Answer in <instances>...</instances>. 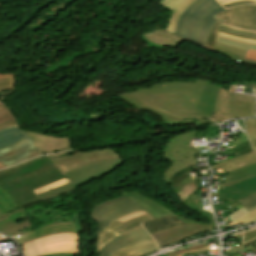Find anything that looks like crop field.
<instances>
[{
	"instance_id": "50",
	"label": "crop field",
	"mask_w": 256,
	"mask_h": 256,
	"mask_svg": "<svg viewBox=\"0 0 256 256\" xmlns=\"http://www.w3.org/2000/svg\"><path fill=\"white\" fill-rule=\"evenodd\" d=\"M246 58L249 59H255L256 60V51L254 50H248Z\"/></svg>"
},
{
	"instance_id": "11",
	"label": "crop field",
	"mask_w": 256,
	"mask_h": 256,
	"mask_svg": "<svg viewBox=\"0 0 256 256\" xmlns=\"http://www.w3.org/2000/svg\"><path fill=\"white\" fill-rule=\"evenodd\" d=\"M216 17L225 20L224 25L256 32V5L227 9Z\"/></svg>"
},
{
	"instance_id": "46",
	"label": "crop field",
	"mask_w": 256,
	"mask_h": 256,
	"mask_svg": "<svg viewBox=\"0 0 256 256\" xmlns=\"http://www.w3.org/2000/svg\"><path fill=\"white\" fill-rule=\"evenodd\" d=\"M156 249H159V247L156 246V247H153V248H149V249H145V250H141V251H136V252H134V253H132V254H130L128 256H141L143 254H146L148 252L154 251Z\"/></svg>"
},
{
	"instance_id": "39",
	"label": "crop field",
	"mask_w": 256,
	"mask_h": 256,
	"mask_svg": "<svg viewBox=\"0 0 256 256\" xmlns=\"http://www.w3.org/2000/svg\"><path fill=\"white\" fill-rule=\"evenodd\" d=\"M66 183H69V181L65 178V179H63V180L57 181V182L52 183V184H49V185H47V186L40 187V188L34 190L33 192H34L35 194H37V193H40V192H43V191L50 190V189H52V188H54V187H57V186L66 184Z\"/></svg>"
},
{
	"instance_id": "55",
	"label": "crop field",
	"mask_w": 256,
	"mask_h": 256,
	"mask_svg": "<svg viewBox=\"0 0 256 256\" xmlns=\"http://www.w3.org/2000/svg\"><path fill=\"white\" fill-rule=\"evenodd\" d=\"M220 31H221V30H220ZM221 32H224V33H227V34H230V35H234V36H238V37H243V38H249V39H255V40H256V38H250V37L240 36V35L228 33V32H225V31H221Z\"/></svg>"
},
{
	"instance_id": "6",
	"label": "crop field",
	"mask_w": 256,
	"mask_h": 256,
	"mask_svg": "<svg viewBox=\"0 0 256 256\" xmlns=\"http://www.w3.org/2000/svg\"><path fill=\"white\" fill-rule=\"evenodd\" d=\"M236 86L229 89L220 88L214 108L213 120L221 123L228 118H239L256 115L255 97L233 94Z\"/></svg>"
},
{
	"instance_id": "14",
	"label": "crop field",
	"mask_w": 256,
	"mask_h": 256,
	"mask_svg": "<svg viewBox=\"0 0 256 256\" xmlns=\"http://www.w3.org/2000/svg\"><path fill=\"white\" fill-rule=\"evenodd\" d=\"M256 193V177L225 187L220 184L218 187L219 200L227 199L229 203L212 205L217 211L229 204Z\"/></svg>"
},
{
	"instance_id": "36",
	"label": "crop field",
	"mask_w": 256,
	"mask_h": 256,
	"mask_svg": "<svg viewBox=\"0 0 256 256\" xmlns=\"http://www.w3.org/2000/svg\"><path fill=\"white\" fill-rule=\"evenodd\" d=\"M208 250L206 244H201L189 249H184L175 253H170V254H166V256H180V255H185V254H189V253H196V252H201V251H205Z\"/></svg>"
},
{
	"instance_id": "70",
	"label": "crop field",
	"mask_w": 256,
	"mask_h": 256,
	"mask_svg": "<svg viewBox=\"0 0 256 256\" xmlns=\"http://www.w3.org/2000/svg\"><path fill=\"white\" fill-rule=\"evenodd\" d=\"M256 85V84H255Z\"/></svg>"
},
{
	"instance_id": "12",
	"label": "crop field",
	"mask_w": 256,
	"mask_h": 256,
	"mask_svg": "<svg viewBox=\"0 0 256 256\" xmlns=\"http://www.w3.org/2000/svg\"><path fill=\"white\" fill-rule=\"evenodd\" d=\"M212 226H200L194 224H186L172 227L151 234L160 247L167 246L171 243L178 242L184 238L196 236L210 231Z\"/></svg>"
},
{
	"instance_id": "69",
	"label": "crop field",
	"mask_w": 256,
	"mask_h": 256,
	"mask_svg": "<svg viewBox=\"0 0 256 256\" xmlns=\"http://www.w3.org/2000/svg\"><path fill=\"white\" fill-rule=\"evenodd\" d=\"M256 83V82H255Z\"/></svg>"
},
{
	"instance_id": "59",
	"label": "crop field",
	"mask_w": 256,
	"mask_h": 256,
	"mask_svg": "<svg viewBox=\"0 0 256 256\" xmlns=\"http://www.w3.org/2000/svg\"><path fill=\"white\" fill-rule=\"evenodd\" d=\"M250 142L252 144L253 149H255L256 148V139L255 140H251Z\"/></svg>"
},
{
	"instance_id": "3",
	"label": "crop field",
	"mask_w": 256,
	"mask_h": 256,
	"mask_svg": "<svg viewBox=\"0 0 256 256\" xmlns=\"http://www.w3.org/2000/svg\"><path fill=\"white\" fill-rule=\"evenodd\" d=\"M223 10L215 0H196L180 18L175 34L206 47L208 32L217 21L214 15Z\"/></svg>"
},
{
	"instance_id": "16",
	"label": "crop field",
	"mask_w": 256,
	"mask_h": 256,
	"mask_svg": "<svg viewBox=\"0 0 256 256\" xmlns=\"http://www.w3.org/2000/svg\"><path fill=\"white\" fill-rule=\"evenodd\" d=\"M147 239H151V236L146 233V231L140 227L133 231L122 234L111 241L107 242V244L102 247L98 256H111L117 250L126 247L130 244L141 242Z\"/></svg>"
},
{
	"instance_id": "62",
	"label": "crop field",
	"mask_w": 256,
	"mask_h": 256,
	"mask_svg": "<svg viewBox=\"0 0 256 256\" xmlns=\"http://www.w3.org/2000/svg\"><path fill=\"white\" fill-rule=\"evenodd\" d=\"M255 210H256V207L253 208V209H251V210H248V213H251V212H253V211H255Z\"/></svg>"
},
{
	"instance_id": "52",
	"label": "crop field",
	"mask_w": 256,
	"mask_h": 256,
	"mask_svg": "<svg viewBox=\"0 0 256 256\" xmlns=\"http://www.w3.org/2000/svg\"><path fill=\"white\" fill-rule=\"evenodd\" d=\"M45 256H74V254L71 253H55V254H49Z\"/></svg>"
},
{
	"instance_id": "4",
	"label": "crop field",
	"mask_w": 256,
	"mask_h": 256,
	"mask_svg": "<svg viewBox=\"0 0 256 256\" xmlns=\"http://www.w3.org/2000/svg\"><path fill=\"white\" fill-rule=\"evenodd\" d=\"M191 138H195L194 130L176 135L168 141L162 156L172 164L164 170L163 182L167 183L176 171L198 163L195 154H199V149L190 145Z\"/></svg>"
},
{
	"instance_id": "13",
	"label": "crop field",
	"mask_w": 256,
	"mask_h": 256,
	"mask_svg": "<svg viewBox=\"0 0 256 256\" xmlns=\"http://www.w3.org/2000/svg\"><path fill=\"white\" fill-rule=\"evenodd\" d=\"M42 153L43 152L35 145L32 139L29 138L0 150V161L5 164V167H9Z\"/></svg>"
},
{
	"instance_id": "53",
	"label": "crop field",
	"mask_w": 256,
	"mask_h": 256,
	"mask_svg": "<svg viewBox=\"0 0 256 256\" xmlns=\"http://www.w3.org/2000/svg\"><path fill=\"white\" fill-rule=\"evenodd\" d=\"M10 76H14V74H12V73H1L0 74V78L10 77Z\"/></svg>"
},
{
	"instance_id": "63",
	"label": "crop field",
	"mask_w": 256,
	"mask_h": 256,
	"mask_svg": "<svg viewBox=\"0 0 256 256\" xmlns=\"http://www.w3.org/2000/svg\"><path fill=\"white\" fill-rule=\"evenodd\" d=\"M0 168H4V166H3L2 162H0Z\"/></svg>"
},
{
	"instance_id": "23",
	"label": "crop field",
	"mask_w": 256,
	"mask_h": 256,
	"mask_svg": "<svg viewBox=\"0 0 256 256\" xmlns=\"http://www.w3.org/2000/svg\"><path fill=\"white\" fill-rule=\"evenodd\" d=\"M144 37L152 43L172 47L184 40L183 38L175 36L163 29L154 30L145 34Z\"/></svg>"
},
{
	"instance_id": "37",
	"label": "crop field",
	"mask_w": 256,
	"mask_h": 256,
	"mask_svg": "<svg viewBox=\"0 0 256 256\" xmlns=\"http://www.w3.org/2000/svg\"><path fill=\"white\" fill-rule=\"evenodd\" d=\"M255 119L256 118L246 119L245 120L247 134H248L250 140L256 138V123H255Z\"/></svg>"
},
{
	"instance_id": "66",
	"label": "crop field",
	"mask_w": 256,
	"mask_h": 256,
	"mask_svg": "<svg viewBox=\"0 0 256 256\" xmlns=\"http://www.w3.org/2000/svg\"><path fill=\"white\" fill-rule=\"evenodd\" d=\"M1 216V215H0Z\"/></svg>"
},
{
	"instance_id": "29",
	"label": "crop field",
	"mask_w": 256,
	"mask_h": 256,
	"mask_svg": "<svg viewBox=\"0 0 256 256\" xmlns=\"http://www.w3.org/2000/svg\"><path fill=\"white\" fill-rule=\"evenodd\" d=\"M17 124L10 111L0 103V130Z\"/></svg>"
},
{
	"instance_id": "67",
	"label": "crop field",
	"mask_w": 256,
	"mask_h": 256,
	"mask_svg": "<svg viewBox=\"0 0 256 256\" xmlns=\"http://www.w3.org/2000/svg\"><path fill=\"white\" fill-rule=\"evenodd\" d=\"M165 256V255H164Z\"/></svg>"
},
{
	"instance_id": "8",
	"label": "crop field",
	"mask_w": 256,
	"mask_h": 256,
	"mask_svg": "<svg viewBox=\"0 0 256 256\" xmlns=\"http://www.w3.org/2000/svg\"><path fill=\"white\" fill-rule=\"evenodd\" d=\"M138 211L142 210L121 195L95 205L91 211V218L97 222V236L114 220Z\"/></svg>"
},
{
	"instance_id": "27",
	"label": "crop field",
	"mask_w": 256,
	"mask_h": 256,
	"mask_svg": "<svg viewBox=\"0 0 256 256\" xmlns=\"http://www.w3.org/2000/svg\"><path fill=\"white\" fill-rule=\"evenodd\" d=\"M228 174L233 179L224 182L226 186L236 183V182H239V181H242V180H245V179H248V178H251V177H254V176H256V163L246 166L244 168L229 172Z\"/></svg>"
},
{
	"instance_id": "9",
	"label": "crop field",
	"mask_w": 256,
	"mask_h": 256,
	"mask_svg": "<svg viewBox=\"0 0 256 256\" xmlns=\"http://www.w3.org/2000/svg\"><path fill=\"white\" fill-rule=\"evenodd\" d=\"M63 154H66L67 156L52 159L54 164L60 169L62 173L99 159L119 158L116 152L112 149H103L89 152L71 150L58 154L48 155V157L51 158Z\"/></svg>"
},
{
	"instance_id": "20",
	"label": "crop field",
	"mask_w": 256,
	"mask_h": 256,
	"mask_svg": "<svg viewBox=\"0 0 256 256\" xmlns=\"http://www.w3.org/2000/svg\"><path fill=\"white\" fill-rule=\"evenodd\" d=\"M193 1L194 0H161L160 6L171 13L165 27L166 30L174 33L179 18Z\"/></svg>"
},
{
	"instance_id": "33",
	"label": "crop field",
	"mask_w": 256,
	"mask_h": 256,
	"mask_svg": "<svg viewBox=\"0 0 256 256\" xmlns=\"http://www.w3.org/2000/svg\"><path fill=\"white\" fill-rule=\"evenodd\" d=\"M58 206H60V205H58L57 203H55V204H54V207L49 208L47 211H43L42 214H39V215H37V216L33 215V213H34L35 210H37V209L32 210V212H31V211H30V208H28V209H27V212H28L29 216H33V217H35V218H43V217L46 216V215H51L52 213H54V215H56V216L59 218V219H57V220H64V219H66V218H61L60 216H61L62 214L66 215V214L69 213V212H65V211H62V210H54V209H53V208L58 207ZM40 208H41V207H40Z\"/></svg>"
},
{
	"instance_id": "31",
	"label": "crop field",
	"mask_w": 256,
	"mask_h": 256,
	"mask_svg": "<svg viewBox=\"0 0 256 256\" xmlns=\"http://www.w3.org/2000/svg\"><path fill=\"white\" fill-rule=\"evenodd\" d=\"M17 207L10 198L9 194L0 188V213L3 215L12 208Z\"/></svg>"
},
{
	"instance_id": "41",
	"label": "crop field",
	"mask_w": 256,
	"mask_h": 256,
	"mask_svg": "<svg viewBox=\"0 0 256 256\" xmlns=\"http://www.w3.org/2000/svg\"><path fill=\"white\" fill-rule=\"evenodd\" d=\"M251 221H256V212H253L251 214H248L244 217H242L241 219L225 226V227H229V226H234V225H239V224H243V223H246V222H251ZM224 228V227H223Z\"/></svg>"
},
{
	"instance_id": "26",
	"label": "crop field",
	"mask_w": 256,
	"mask_h": 256,
	"mask_svg": "<svg viewBox=\"0 0 256 256\" xmlns=\"http://www.w3.org/2000/svg\"><path fill=\"white\" fill-rule=\"evenodd\" d=\"M222 23H223V20L218 19V21L212 27V29L208 35V39H207V48L208 49L215 51L214 40H215V36L219 29L237 33V34H241V35H245V36L256 37V33H254V32H247V31H243V30H239V29L229 28V27L222 25Z\"/></svg>"
},
{
	"instance_id": "5",
	"label": "crop field",
	"mask_w": 256,
	"mask_h": 256,
	"mask_svg": "<svg viewBox=\"0 0 256 256\" xmlns=\"http://www.w3.org/2000/svg\"><path fill=\"white\" fill-rule=\"evenodd\" d=\"M123 161L124 159H121V158L110 159V160H99V161L81 166L69 172H66L64 173V175L67 177V179L71 183L57 187L53 190H50L44 193L37 194V197L39 198V200L48 199V198L60 195L64 192L73 190L94 178H98L100 176H103L111 172L113 169H115L117 166L123 163Z\"/></svg>"
},
{
	"instance_id": "57",
	"label": "crop field",
	"mask_w": 256,
	"mask_h": 256,
	"mask_svg": "<svg viewBox=\"0 0 256 256\" xmlns=\"http://www.w3.org/2000/svg\"><path fill=\"white\" fill-rule=\"evenodd\" d=\"M9 240H10V239H8V238H6V237L0 235V242H2V241H9Z\"/></svg>"
},
{
	"instance_id": "21",
	"label": "crop field",
	"mask_w": 256,
	"mask_h": 256,
	"mask_svg": "<svg viewBox=\"0 0 256 256\" xmlns=\"http://www.w3.org/2000/svg\"><path fill=\"white\" fill-rule=\"evenodd\" d=\"M34 140L37 146L44 152L49 153L70 145V138L54 137L50 135L37 134L24 131Z\"/></svg>"
},
{
	"instance_id": "42",
	"label": "crop field",
	"mask_w": 256,
	"mask_h": 256,
	"mask_svg": "<svg viewBox=\"0 0 256 256\" xmlns=\"http://www.w3.org/2000/svg\"><path fill=\"white\" fill-rule=\"evenodd\" d=\"M215 47L221 48V49H224V50H227L229 52H232V53H235V54H239V55H242V56L245 53V50H241V49H238V48L230 47V46L223 45V44L216 43V42H215Z\"/></svg>"
},
{
	"instance_id": "48",
	"label": "crop field",
	"mask_w": 256,
	"mask_h": 256,
	"mask_svg": "<svg viewBox=\"0 0 256 256\" xmlns=\"http://www.w3.org/2000/svg\"><path fill=\"white\" fill-rule=\"evenodd\" d=\"M73 216H74V221L76 223V229L78 230V233H80V234L83 233L80 219H79V213H75V214H73Z\"/></svg>"
},
{
	"instance_id": "18",
	"label": "crop field",
	"mask_w": 256,
	"mask_h": 256,
	"mask_svg": "<svg viewBox=\"0 0 256 256\" xmlns=\"http://www.w3.org/2000/svg\"><path fill=\"white\" fill-rule=\"evenodd\" d=\"M122 196L126 197L127 199L135 202L151 215L156 218L170 216V215H178L172 210L168 209L167 207L151 200L149 197L140 194L136 191H131L129 193L122 194Z\"/></svg>"
},
{
	"instance_id": "61",
	"label": "crop field",
	"mask_w": 256,
	"mask_h": 256,
	"mask_svg": "<svg viewBox=\"0 0 256 256\" xmlns=\"http://www.w3.org/2000/svg\"><path fill=\"white\" fill-rule=\"evenodd\" d=\"M230 256H241V254H240L239 251H238V252H236V253H234V254H232V255H230Z\"/></svg>"
},
{
	"instance_id": "17",
	"label": "crop field",
	"mask_w": 256,
	"mask_h": 256,
	"mask_svg": "<svg viewBox=\"0 0 256 256\" xmlns=\"http://www.w3.org/2000/svg\"><path fill=\"white\" fill-rule=\"evenodd\" d=\"M55 233H77L75 229V223H55L47 226L40 227L34 231L22 234L20 236L14 237L13 239L19 244H24L26 242L35 240L37 238L55 234Z\"/></svg>"
},
{
	"instance_id": "2",
	"label": "crop field",
	"mask_w": 256,
	"mask_h": 256,
	"mask_svg": "<svg viewBox=\"0 0 256 256\" xmlns=\"http://www.w3.org/2000/svg\"><path fill=\"white\" fill-rule=\"evenodd\" d=\"M63 178L65 176L43 155L0 171V187L21 206L38 201L32 190Z\"/></svg>"
},
{
	"instance_id": "47",
	"label": "crop field",
	"mask_w": 256,
	"mask_h": 256,
	"mask_svg": "<svg viewBox=\"0 0 256 256\" xmlns=\"http://www.w3.org/2000/svg\"><path fill=\"white\" fill-rule=\"evenodd\" d=\"M249 3H256L255 0H246V1H239V2H233L227 5H223L224 8H230L236 5H241V4H249Z\"/></svg>"
},
{
	"instance_id": "30",
	"label": "crop field",
	"mask_w": 256,
	"mask_h": 256,
	"mask_svg": "<svg viewBox=\"0 0 256 256\" xmlns=\"http://www.w3.org/2000/svg\"><path fill=\"white\" fill-rule=\"evenodd\" d=\"M168 126H178V125H205L208 124L209 122H204V119H195V120H189V119H178V118H171V117H166V119L163 121Z\"/></svg>"
},
{
	"instance_id": "15",
	"label": "crop field",
	"mask_w": 256,
	"mask_h": 256,
	"mask_svg": "<svg viewBox=\"0 0 256 256\" xmlns=\"http://www.w3.org/2000/svg\"><path fill=\"white\" fill-rule=\"evenodd\" d=\"M31 225L33 224L24 206L17 207L0 217V231L11 237L15 236L19 230H23Z\"/></svg>"
},
{
	"instance_id": "64",
	"label": "crop field",
	"mask_w": 256,
	"mask_h": 256,
	"mask_svg": "<svg viewBox=\"0 0 256 256\" xmlns=\"http://www.w3.org/2000/svg\"><path fill=\"white\" fill-rule=\"evenodd\" d=\"M249 49H256V47H249Z\"/></svg>"
},
{
	"instance_id": "7",
	"label": "crop field",
	"mask_w": 256,
	"mask_h": 256,
	"mask_svg": "<svg viewBox=\"0 0 256 256\" xmlns=\"http://www.w3.org/2000/svg\"><path fill=\"white\" fill-rule=\"evenodd\" d=\"M25 256H42L54 252H71L80 255L78 234H56L20 246Z\"/></svg>"
},
{
	"instance_id": "43",
	"label": "crop field",
	"mask_w": 256,
	"mask_h": 256,
	"mask_svg": "<svg viewBox=\"0 0 256 256\" xmlns=\"http://www.w3.org/2000/svg\"><path fill=\"white\" fill-rule=\"evenodd\" d=\"M14 85V78L0 79V91L10 89Z\"/></svg>"
},
{
	"instance_id": "45",
	"label": "crop field",
	"mask_w": 256,
	"mask_h": 256,
	"mask_svg": "<svg viewBox=\"0 0 256 256\" xmlns=\"http://www.w3.org/2000/svg\"><path fill=\"white\" fill-rule=\"evenodd\" d=\"M215 49H216L217 52H220V53H222V54H225V55L231 57V58L234 59L236 62H241V60H242V58H243L242 56L235 55V54L226 52V51L221 50V49H217V48H215Z\"/></svg>"
},
{
	"instance_id": "40",
	"label": "crop field",
	"mask_w": 256,
	"mask_h": 256,
	"mask_svg": "<svg viewBox=\"0 0 256 256\" xmlns=\"http://www.w3.org/2000/svg\"><path fill=\"white\" fill-rule=\"evenodd\" d=\"M239 202L246 208V210L251 209L256 206V194L244 198Z\"/></svg>"
},
{
	"instance_id": "65",
	"label": "crop field",
	"mask_w": 256,
	"mask_h": 256,
	"mask_svg": "<svg viewBox=\"0 0 256 256\" xmlns=\"http://www.w3.org/2000/svg\"><path fill=\"white\" fill-rule=\"evenodd\" d=\"M254 151H255V153H256V149H255Z\"/></svg>"
},
{
	"instance_id": "32",
	"label": "crop field",
	"mask_w": 256,
	"mask_h": 256,
	"mask_svg": "<svg viewBox=\"0 0 256 256\" xmlns=\"http://www.w3.org/2000/svg\"><path fill=\"white\" fill-rule=\"evenodd\" d=\"M215 41L223 43V44L231 45V46H234V47H238V48H241V49H245V50H247L249 46H256L255 43L237 41V40H233V39L226 38V37L219 36V35L216 36Z\"/></svg>"
},
{
	"instance_id": "38",
	"label": "crop field",
	"mask_w": 256,
	"mask_h": 256,
	"mask_svg": "<svg viewBox=\"0 0 256 256\" xmlns=\"http://www.w3.org/2000/svg\"><path fill=\"white\" fill-rule=\"evenodd\" d=\"M187 208L201 214L203 217H205L207 220L211 217L212 213L210 214L209 212L205 211V210H200L199 208V204L197 199L195 201H193L190 205L187 206Z\"/></svg>"
},
{
	"instance_id": "22",
	"label": "crop field",
	"mask_w": 256,
	"mask_h": 256,
	"mask_svg": "<svg viewBox=\"0 0 256 256\" xmlns=\"http://www.w3.org/2000/svg\"><path fill=\"white\" fill-rule=\"evenodd\" d=\"M186 223H195V224L204 225V223L202 222H197L181 216H170V217L160 218V219L152 220L150 222L143 223L142 225L146 228L149 234H151L165 228H169V227L180 225V224H186Z\"/></svg>"
},
{
	"instance_id": "51",
	"label": "crop field",
	"mask_w": 256,
	"mask_h": 256,
	"mask_svg": "<svg viewBox=\"0 0 256 256\" xmlns=\"http://www.w3.org/2000/svg\"><path fill=\"white\" fill-rule=\"evenodd\" d=\"M218 34H219V35H223V36H227V37H230V38H233V39H237V40H243V41L256 42L255 40H249V39L237 38V37H233V36H230V35H227V34H224V33H220V32H218Z\"/></svg>"
},
{
	"instance_id": "58",
	"label": "crop field",
	"mask_w": 256,
	"mask_h": 256,
	"mask_svg": "<svg viewBox=\"0 0 256 256\" xmlns=\"http://www.w3.org/2000/svg\"><path fill=\"white\" fill-rule=\"evenodd\" d=\"M70 149H72V147H71V146L66 147V148H63V149H60V150H57V151H55V152L65 151V150H70ZM52 153H53V152H52Z\"/></svg>"
},
{
	"instance_id": "54",
	"label": "crop field",
	"mask_w": 256,
	"mask_h": 256,
	"mask_svg": "<svg viewBox=\"0 0 256 256\" xmlns=\"http://www.w3.org/2000/svg\"><path fill=\"white\" fill-rule=\"evenodd\" d=\"M233 1H238V0H219L221 5L227 4V3H230V2H233Z\"/></svg>"
},
{
	"instance_id": "10",
	"label": "crop field",
	"mask_w": 256,
	"mask_h": 256,
	"mask_svg": "<svg viewBox=\"0 0 256 256\" xmlns=\"http://www.w3.org/2000/svg\"><path fill=\"white\" fill-rule=\"evenodd\" d=\"M153 219L146 212H138L125 217H122L116 221H114L109 227H107L98 237L97 242L95 244V251L99 252L101 247L105 245V243L114 238L115 236L122 234L124 232L130 231L132 229L138 228L141 226V222L146 220ZM122 230V232H120Z\"/></svg>"
},
{
	"instance_id": "56",
	"label": "crop field",
	"mask_w": 256,
	"mask_h": 256,
	"mask_svg": "<svg viewBox=\"0 0 256 256\" xmlns=\"http://www.w3.org/2000/svg\"><path fill=\"white\" fill-rule=\"evenodd\" d=\"M244 62L251 63V64H256V61L249 60V59H244Z\"/></svg>"
},
{
	"instance_id": "24",
	"label": "crop field",
	"mask_w": 256,
	"mask_h": 256,
	"mask_svg": "<svg viewBox=\"0 0 256 256\" xmlns=\"http://www.w3.org/2000/svg\"><path fill=\"white\" fill-rule=\"evenodd\" d=\"M255 162H256V155L254 152H252L250 154H245L240 157L211 166V169L214 170V169L220 168L224 173H226Z\"/></svg>"
},
{
	"instance_id": "25",
	"label": "crop field",
	"mask_w": 256,
	"mask_h": 256,
	"mask_svg": "<svg viewBox=\"0 0 256 256\" xmlns=\"http://www.w3.org/2000/svg\"><path fill=\"white\" fill-rule=\"evenodd\" d=\"M26 138H28V136L19 128L18 125L2 130L0 131V149L8 147Z\"/></svg>"
},
{
	"instance_id": "60",
	"label": "crop field",
	"mask_w": 256,
	"mask_h": 256,
	"mask_svg": "<svg viewBox=\"0 0 256 256\" xmlns=\"http://www.w3.org/2000/svg\"><path fill=\"white\" fill-rule=\"evenodd\" d=\"M238 124H239V126H240L242 129H244V125H243L242 120H238Z\"/></svg>"
},
{
	"instance_id": "19",
	"label": "crop field",
	"mask_w": 256,
	"mask_h": 256,
	"mask_svg": "<svg viewBox=\"0 0 256 256\" xmlns=\"http://www.w3.org/2000/svg\"><path fill=\"white\" fill-rule=\"evenodd\" d=\"M219 86L207 80L193 116L211 117Z\"/></svg>"
},
{
	"instance_id": "35",
	"label": "crop field",
	"mask_w": 256,
	"mask_h": 256,
	"mask_svg": "<svg viewBox=\"0 0 256 256\" xmlns=\"http://www.w3.org/2000/svg\"><path fill=\"white\" fill-rule=\"evenodd\" d=\"M232 237L237 240L238 244L241 245L249 240L256 238V229L236 234L233 235Z\"/></svg>"
},
{
	"instance_id": "28",
	"label": "crop field",
	"mask_w": 256,
	"mask_h": 256,
	"mask_svg": "<svg viewBox=\"0 0 256 256\" xmlns=\"http://www.w3.org/2000/svg\"><path fill=\"white\" fill-rule=\"evenodd\" d=\"M150 246H156V243L153 241V239L130 245L126 248L117 251L113 256H126L127 254L132 253L136 250L149 248Z\"/></svg>"
},
{
	"instance_id": "49",
	"label": "crop field",
	"mask_w": 256,
	"mask_h": 256,
	"mask_svg": "<svg viewBox=\"0 0 256 256\" xmlns=\"http://www.w3.org/2000/svg\"><path fill=\"white\" fill-rule=\"evenodd\" d=\"M254 241H256V239H254V240H252V241H250V242H247V243H245V244H243V245H241V246H238V247H235V248H233V249H230V250H228V251H226V252H227V254L229 255V254H231V253H233V252L239 250L238 248L244 247V246H246V245H248V244H250V243H252V242H254Z\"/></svg>"
},
{
	"instance_id": "1",
	"label": "crop field",
	"mask_w": 256,
	"mask_h": 256,
	"mask_svg": "<svg viewBox=\"0 0 256 256\" xmlns=\"http://www.w3.org/2000/svg\"><path fill=\"white\" fill-rule=\"evenodd\" d=\"M206 80L193 83L174 81L154 84L130 93L115 95L139 110L160 116L195 119L192 117Z\"/></svg>"
},
{
	"instance_id": "34",
	"label": "crop field",
	"mask_w": 256,
	"mask_h": 256,
	"mask_svg": "<svg viewBox=\"0 0 256 256\" xmlns=\"http://www.w3.org/2000/svg\"><path fill=\"white\" fill-rule=\"evenodd\" d=\"M217 126H211L207 129H195L196 137H205L207 140L210 137L218 135L219 127H217Z\"/></svg>"
},
{
	"instance_id": "44",
	"label": "crop field",
	"mask_w": 256,
	"mask_h": 256,
	"mask_svg": "<svg viewBox=\"0 0 256 256\" xmlns=\"http://www.w3.org/2000/svg\"><path fill=\"white\" fill-rule=\"evenodd\" d=\"M246 214H248L247 211L244 209V207H242V208H240L239 210L235 211L234 213L230 214L227 217L233 222V221L239 219L240 217H242V216H244Z\"/></svg>"
},
{
	"instance_id": "68",
	"label": "crop field",
	"mask_w": 256,
	"mask_h": 256,
	"mask_svg": "<svg viewBox=\"0 0 256 256\" xmlns=\"http://www.w3.org/2000/svg\"><path fill=\"white\" fill-rule=\"evenodd\" d=\"M61 157V156H60Z\"/></svg>"
}]
</instances>
